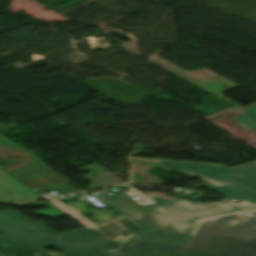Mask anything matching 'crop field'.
Wrapping results in <instances>:
<instances>
[{
    "label": "crop field",
    "instance_id": "crop-field-1",
    "mask_svg": "<svg viewBox=\"0 0 256 256\" xmlns=\"http://www.w3.org/2000/svg\"><path fill=\"white\" fill-rule=\"evenodd\" d=\"M98 198L145 229L126 251L179 253L200 220L186 222L157 203L141 205L128 193Z\"/></svg>",
    "mask_w": 256,
    "mask_h": 256
},
{
    "label": "crop field",
    "instance_id": "crop-field-2",
    "mask_svg": "<svg viewBox=\"0 0 256 256\" xmlns=\"http://www.w3.org/2000/svg\"><path fill=\"white\" fill-rule=\"evenodd\" d=\"M180 253L256 256V210L201 218Z\"/></svg>",
    "mask_w": 256,
    "mask_h": 256
},
{
    "label": "crop field",
    "instance_id": "crop-field-3",
    "mask_svg": "<svg viewBox=\"0 0 256 256\" xmlns=\"http://www.w3.org/2000/svg\"><path fill=\"white\" fill-rule=\"evenodd\" d=\"M0 246L40 250L54 247L79 256H96L112 248L86 228L58 234L44 223L33 224L10 210L0 211Z\"/></svg>",
    "mask_w": 256,
    "mask_h": 256
},
{
    "label": "crop field",
    "instance_id": "crop-field-4",
    "mask_svg": "<svg viewBox=\"0 0 256 256\" xmlns=\"http://www.w3.org/2000/svg\"><path fill=\"white\" fill-rule=\"evenodd\" d=\"M157 164L165 169L198 175L210 182L213 186L212 189L219 194L240 200L241 202L236 204L237 206L256 208V184L224 165L165 161H157Z\"/></svg>",
    "mask_w": 256,
    "mask_h": 256
},
{
    "label": "crop field",
    "instance_id": "crop-field-5",
    "mask_svg": "<svg viewBox=\"0 0 256 256\" xmlns=\"http://www.w3.org/2000/svg\"><path fill=\"white\" fill-rule=\"evenodd\" d=\"M145 195L186 221L207 215L236 210V208L226 202L192 203L186 199H172L166 201L159 195Z\"/></svg>",
    "mask_w": 256,
    "mask_h": 256
},
{
    "label": "crop field",
    "instance_id": "crop-field-6",
    "mask_svg": "<svg viewBox=\"0 0 256 256\" xmlns=\"http://www.w3.org/2000/svg\"><path fill=\"white\" fill-rule=\"evenodd\" d=\"M88 229L117 250L124 247L132 239V236L142 231L141 228L123 216Z\"/></svg>",
    "mask_w": 256,
    "mask_h": 256
},
{
    "label": "crop field",
    "instance_id": "crop-field-7",
    "mask_svg": "<svg viewBox=\"0 0 256 256\" xmlns=\"http://www.w3.org/2000/svg\"><path fill=\"white\" fill-rule=\"evenodd\" d=\"M50 176L52 177L50 178ZM16 178L31 189L36 188L38 193L46 190H55L62 194L78 192L77 189L68 185L71 183L69 180L50 169L47 165L31 169V172L16 176Z\"/></svg>",
    "mask_w": 256,
    "mask_h": 256
},
{
    "label": "crop field",
    "instance_id": "crop-field-8",
    "mask_svg": "<svg viewBox=\"0 0 256 256\" xmlns=\"http://www.w3.org/2000/svg\"><path fill=\"white\" fill-rule=\"evenodd\" d=\"M38 198V195L0 169V203H27Z\"/></svg>",
    "mask_w": 256,
    "mask_h": 256
},
{
    "label": "crop field",
    "instance_id": "crop-field-9",
    "mask_svg": "<svg viewBox=\"0 0 256 256\" xmlns=\"http://www.w3.org/2000/svg\"><path fill=\"white\" fill-rule=\"evenodd\" d=\"M229 110H223L213 115L205 117L209 121L223 128L227 132L243 140L246 143L256 142V132L234 122L232 119L240 115L244 111L239 110L235 113Z\"/></svg>",
    "mask_w": 256,
    "mask_h": 256
},
{
    "label": "crop field",
    "instance_id": "crop-field-10",
    "mask_svg": "<svg viewBox=\"0 0 256 256\" xmlns=\"http://www.w3.org/2000/svg\"><path fill=\"white\" fill-rule=\"evenodd\" d=\"M243 110L245 112L233 120L256 131V103L243 108ZM230 169L256 183L255 163L234 166L230 167Z\"/></svg>",
    "mask_w": 256,
    "mask_h": 256
},
{
    "label": "crop field",
    "instance_id": "crop-field-11",
    "mask_svg": "<svg viewBox=\"0 0 256 256\" xmlns=\"http://www.w3.org/2000/svg\"><path fill=\"white\" fill-rule=\"evenodd\" d=\"M119 251L110 249L98 256H116ZM0 256H76L70 253L50 254L46 251L0 247Z\"/></svg>",
    "mask_w": 256,
    "mask_h": 256
},
{
    "label": "crop field",
    "instance_id": "crop-field-12",
    "mask_svg": "<svg viewBox=\"0 0 256 256\" xmlns=\"http://www.w3.org/2000/svg\"><path fill=\"white\" fill-rule=\"evenodd\" d=\"M33 205H34V207L40 206V205H46V206L50 207L49 210H39V211L35 212V214H38V215H44V216H48L51 218L61 217V216L65 215V213L61 212L60 210L55 208L50 203H45V202L39 201V202L33 203Z\"/></svg>",
    "mask_w": 256,
    "mask_h": 256
},
{
    "label": "crop field",
    "instance_id": "crop-field-13",
    "mask_svg": "<svg viewBox=\"0 0 256 256\" xmlns=\"http://www.w3.org/2000/svg\"><path fill=\"white\" fill-rule=\"evenodd\" d=\"M46 200L49 201L50 203H52L58 209L62 210L63 212H65L66 214H68L72 217L80 215L78 212H76L75 210H73L69 206L63 204L62 202H60L58 199H56L54 197L46 198Z\"/></svg>",
    "mask_w": 256,
    "mask_h": 256
},
{
    "label": "crop field",
    "instance_id": "crop-field-14",
    "mask_svg": "<svg viewBox=\"0 0 256 256\" xmlns=\"http://www.w3.org/2000/svg\"><path fill=\"white\" fill-rule=\"evenodd\" d=\"M128 193H130L132 195V197H135V196L140 197V198L135 199V200L138 201L141 204H147V203H153L154 202L153 200H151L150 198H148L147 196L141 194L138 191H130Z\"/></svg>",
    "mask_w": 256,
    "mask_h": 256
},
{
    "label": "crop field",
    "instance_id": "crop-field-15",
    "mask_svg": "<svg viewBox=\"0 0 256 256\" xmlns=\"http://www.w3.org/2000/svg\"><path fill=\"white\" fill-rule=\"evenodd\" d=\"M117 256H180V255H160V254L119 252V254Z\"/></svg>",
    "mask_w": 256,
    "mask_h": 256
}]
</instances>
